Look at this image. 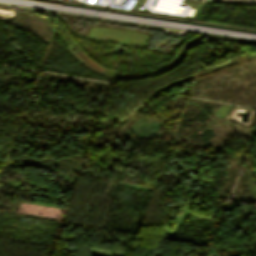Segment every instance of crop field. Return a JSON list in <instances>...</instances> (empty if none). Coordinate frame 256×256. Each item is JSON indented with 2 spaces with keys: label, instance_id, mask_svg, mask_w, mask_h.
Returning <instances> with one entry per match:
<instances>
[{
  "label": "crop field",
  "instance_id": "1",
  "mask_svg": "<svg viewBox=\"0 0 256 256\" xmlns=\"http://www.w3.org/2000/svg\"><path fill=\"white\" fill-rule=\"evenodd\" d=\"M223 1H233V2H256V0H223Z\"/></svg>",
  "mask_w": 256,
  "mask_h": 256
}]
</instances>
